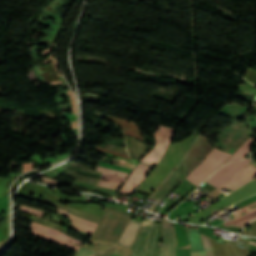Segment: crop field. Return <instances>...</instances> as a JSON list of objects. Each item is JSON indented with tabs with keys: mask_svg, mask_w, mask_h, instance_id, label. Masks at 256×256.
I'll list each match as a JSON object with an SVG mask.
<instances>
[{
	"mask_svg": "<svg viewBox=\"0 0 256 256\" xmlns=\"http://www.w3.org/2000/svg\"><path fill=\"white\" fill-rule=\"evenodd\" d=\"M58 209V208H57ZM59 212H62L66 214L67 217H69L73 228L78 229L80 231L86 232L91 234V232L94 230V228L97 226V223L90 222L87 220H84L82 218H79L75 215H72L62 209H58Z\"/></svg>",
	"mask_w": 256,
	"mask_h": 256,
	"instance_id": "3316defc",
	"label": "crop field"
},
{
	"mask_svg": "<svg viewBox=\"0 0 256 256\" xmlns=\"http://www.w3.org/2000/svg\"><path fill=\"white\" fill-rule=\"evenodd\" d=\"M242 81L246 82L247 84L239 85V89L244 92L254 93L256 94V88L251 83L243 79Z\"/></svg>",
	"mask_w": 256,
	"mask_h": 256,
	"instance_id": "92a150f3",
	"label": "crop field"
},
{
	"mask_svg": "<svg viewBox=\"0 0 256 256\" xmlns=\"http://www.w3.org/2000/svg\"><path fill=\"white\" fill-rule=\"evenodd\" d=\"M253 219H256V210L248 212L234 220L222 223V225L237 226L243 222L246 224L247 222H249ZM245 224H242L239 227H244Z\"/></svg>",
	"mask_w": 256,
	"mask_h": 256,
	"instance_id": "d9b57169",
	"label": "crop field"
},
{
	"mask_svg": "<svg viewBox=\"0 0 256 256\" xmlns=\"http://www.w3.org/2000/svg\"><path fill=\"white\" fill-rule=\"evenodd\" d=\"M30 227L34 228V229H37L39 231L48 233L50 235H53V236H56V237L68 240V241H69V238H70L69 236L65 235L64 233H62L60 231H57V230H54V229H51V228H48V227H45V226L33 223V222L31 223Z\"/></svg>",
	"mask_w": 256,
	"mask_h": 256,
	"instance_id": "4a817a6b",
	"label": "crop field"
},
{
	"mask_svg": "<svg viewBox=\"0 0 256 256\" xmlns=\"http://www.w3.org/2000/svg\"><path fill=\"white\" fill-rule=\"evenodd\" d=\"M250 242L256 244L255 242H252V241H250Z\"/></svg>",
	"mask_w": 256,
	"mask_h": 256,
	"instance_id": "120bbe31",
	"label": "crop field"
},
{
	"mask_svg": "<svg viewBox=\"0 0 256 256\" xmlns=\"http://www.w3.org/2000/svg\"><path fill=\"white\" fill-rule=\"evenodd\" d=\"M229 156L231 154L220 152L214 148L204 162L195 168L186 178L199 185L204 179L221 167Z\"/></svg>",
	"mask_w": 256,
	"mask_h": 256,
	"instance_id": "8a807250",
	"label": "crop field"
},
{
	"mask_svg": "<svg viewBox=\"0 0 256 256\" xmlns=\"http://www.w3.org/2000/svg\"><path fill=\"white\" fill-rule=\"evenodd\" d=\"M250 162L251 160L244 159L242 161L225 164L209 179H207L206 182L217 187L225 180H227L229 177H231L232 175L240 171L242 168H244Z\"/></svg>",
	"mask_w": 256,
	"mask_h": 256,
	"instance_id": "412701ff",
	"label": "crop field"
},
{
	"mask_svg": "<svg viewBox=\"0 0 256 256\" xmlns=\"http://www.w3.org/2000/svg\"><path fill=\"white\" fill-rule=\"evenodd\" d=\"M95 148L100 149V150H103V151H106V152H109V153H112V154H115V155H118V156H121V157H124V158H127V159H130V158L127 157V156L121 155V154L116 153V152H113V151H109V150H106V149H101V148H99V147H97V146H95Z\"/></svg>",
	"mask_w": 256,
	"mask_h": 256,
	"instance_id": "ae1a2a85",
	"label": "crop field"
},
{
	"mask_svg": "<svg viewBox=\"0 0 256 256\" xmlns=\"http://www.w3.org/2000/svg\"><path fill=\"white\" fill-rule=\"evenodd\" d=\"M108 117L111 120H114L116 124L121 126L124 129L126 134L136 136V137L142 139L141 132L135 123H133L131 121L129 123H127V121H129V120H125V119H121V118H117V117H113V116H109V115H108ZM125 127H128L131 130H127Z\"/></svg>",
	"mask_w": 256,
	"mask_h": 256,
	"instance_id": "d1516ede",
	"label": "crop field"
},
{
	"mask_svg": "<svg viewBox=\"0 0 256 256\" xmlns=\"http://www.w3.org/2000/svg\"><path fill=\"white\" fill-rule=\"evenodd\" d=\"M173 132L174 131H172V128H168L160 125L158 130L155 133L156 143L154 145L152 152L150 154L148 153L142 159L141 162H145L153 165L158 163L171 141Z\"/></svg>",
	"mask_w": 256,
	"mask_h": 256,
	"instance_id": "ac0d7876",
	"label": "crop field"
},
{
	"mask_svg": "<svg viewBox=\"0 0 256 256\" xmlns=\"http://www.w3.org/2000/svg\"><path fill=\"white\" fill-rule=\"evenodd\" d=\"M31 234L34 235V236L40 237L42 239H45V240H48V241H51V242L69 247V248H73V249H76V250H78L80 248V246L74 245L72 243L66 242L64 240L58 239L56 237L50 236L48 234L39 232V231L34 230V229H32Z\"/></svg>",
	"mask_w": 256,
	"mask_h": 256,
	"instance_id": "cbeb9de0",
	"label": "crop field"
},
{
	"mask_svg": "<svg viewBox=\"0 0 256 256\" xmlns=\"http://www.w3.org/2000/svg\"><path fill=\"white\" fill-rule=\"evenodd\" d=\"M205 251L192 253V256H213V251L210 247L208 238L202 235Z\"/></svg>",
	"mask_w": 256,
	"mask_h": 256,
	"instance_id": "bc2a9ffb",
	"label": "crop field"
},
{
	"mask_svg": "<svg viewBox=\"0 0 256 256\" xmlns=\"http://www.w3.org/2000/svg\"><path fill=\"white\" fill-rule=\"evenodd\" d=\"M175 238L173 235L172 224L163 221V245L161 256H174Z\"/></svg>",
	"mask_w": 256,
	"mask_h": 256,
	"instance_id": "d8731c3e",
	"label": "crop field"
},
{
	"mask_svg": "<svg viewBox=\"0 0 256 256\" xmlns=\"http://www.w3.org/2000/svg\"><path fill=\"white\" fill-rule=\"evenodd\" d=\"M101 179L116 182V183H120V184H122L123 181L125 180V178H123V177H119V176L111 175V174H106V173H104V175L102 176Z\"/></svg>",
	"mask_w": 256,
	"mask_h": 256,
	"instance_id": "214f88e0",
	"label": "crop field"
},
{
	"mask_svg": "<svg viewBox=\"0 0 256 256\" xmlns=\"http://www.w3.org/2000/svg\"><path fill=\"white\" fill-rule=\"evenodd\" d=\"M114 248H115V247H114ZM114 248H112V249H110V250H107V251H105V252H103V253H97L96 256H110Z\"/></svg>",
	"mask_w": 256,
	"mask_h": 256,
	"instance_id": "eef30255",
	"label": "crop field"
},
{
	"mask_svg": "<svg viewBox=\"0 0 256 256\" xmlns=\"http://www.w3.org/2000/svg\"><path fill=\"white\" fill-rule=\"evenodd\" d=\"M74 186H78V187H81V188H85V189H88V190H95L97 192H103L105 194H108L110 196H114L116 190L114 189H109V188H104V187H97V186H94V185H91V184H88V183H85V182H81V181H78L76 180V182L74 183Z\"/></svg>",
	"mask_w": 256,
	"mask_h": 256,
	"instance_id": "733c2abd",
	"label": "crop field"
},
{
	"mask_svg": "<svg viewBox=\"0 0 256 256\" xmlns=\"http://www.w3.org/2000/svg\"><path fill=\"white\" fill-rule=\"evenodd\" d=\"M71 242H74V243H77V244H82V241H80V240H78V239H75V238H73L72 237V239H71Z\"/></svg>",
	"mask_w": 256,
	"mask_h": 256,
	"instance_id": "1d83c4d3",
	"label": "crop field"
},
{
	"mask_svg": "<svg viewBox=\"0 0 256 256\" xmlns=\"http://www.w3.org/2000/svg\"><path fill=\"white\" fill-rule=\"evenodd\" d=\"M248 110H249V108H242L235 104H232V105L226 104L224 106V108L222 110L218 111L217 113L227 116L231 119L237 120V119L243 117L247 113Z\"/></svg>",
	"mask_w": 256,
	"mask_h": 256,
	"instance_id": "28ad6ade",
	"label": "crop field"
},
{
	"mask_svg": "<svg viewBox=\"0 0 256 256\" xmlns=\"http://www.w3.org/2000/svg\"><path fill=\"white\" fill-rule=\"evenodd\" d=\"M95 254H96V252H92L86 248L81 247L78 250L76 256H94Z\"/></svg>",
	"mask_w": 256,
	"mask_h": 256,
	"instance_id": "a9b5d70f",
	"label": "crop field"
},
{
	"mask_svg": "<svg viewBox=\"0 0 256 256\" xmlns=\"http://www.w3.org/2000/svg\"><path fill=\"white\" fill-rule=\"evenodd\" d=\"M151 220L145 219L128 256H144Z\"/></svg>",
	"mask_w": 256,
	"mask_h": 256,
	"instance_id": "f4fd0767",
	"label": "crop field"
},
{
	"mask_svg": "<svg viewBox=\"0 0 256 256\" xmlns=\"http://www.w3.org/2000/svg\"><path fill=\"white\" fill-rule=\"evenodd\" d=\"M140 225L141 222L131 220L125 234L123 235L118 245L130 246Z\"/></svg>",
	"mask_w": 256,
	"mask_h": 256,
	"instance_id": "22f410ed",
	"label": "crop field"
},
{
	"mask_svg": "<svg viewBox=\"0 0 256 256\" xmlns=\"http://www.w3.org/2000/svg\"><path fill=\"white\" fill-rule=\"evenodd\" d=\"M42 175L51 176V177H53V178L56 179L59 174H58V173L51 172V171H48V172H46V173H44V174H42Z\"/></svg>",
	"mask_w": 256,
	"mask_h": 256,
	"instance_id": "750c4746",
	"label": "crop field"
},
{
	"mask_svg": "<svg viewBox=\"0 0 256 256\" xmlns=\"http://www.w3.org/2000/svg\"><path fill=\"white\" fill-rule=\"evenodd\" d=\"M162 223H153L145 256H160Z\"/></svg>",
	"mask_w": 256,
	"mask_h": 256,
	"instance_id": "e52e79f7",
	"label": "crop field"
},
{
	"mask_svg": "<svg viewBox=\"0 0 256 256\" xmlns=\"http://www.w3.org/2000/svg\"><path fill=\"white\" fill-rule=\"evenodd\" d=\"M256 175V168L249 165L242 169L240 172H238L236 175H234L232 178H230L228 181H226L224 184H222L217 189H221L224 186L230 188V189H236L240 187L241 185L248 182L250 179L254 178Z\"/></svg>",
	"mask_w": 256,
	"mask_h": 256,
	"instance_id": "dd49c442",
	"label": "crop field"
},
{
	"mask_svg": "<svg viewBox=\"0 0 256 256\" xmlns=\"http://www.w3.org/2000/svg\"><path fill=\"white\" fill-rule=\"evenodd\" d=\"M199 138V134L196 137V139L194 140L193 144L191 145V147L194 145V143L197 141V139ZM191 147L188 149V151L191 149ZM188 151L184 154V156L182 157L181 161L183 160V158L186 156V154L188 153ZM181 161L174 167V169L169 173V175L159 184V186L176 170V168L179 166V164L181 163ZM158 186V187H159Z\"/></svg>",
	"mask_w": 256,
	"mask_h": 256,
	"instance_id": "730fd06b",
	"label": "crop field"
},
{
	"mask_svg": "<svg viewBox=\"0 0 256 256\" xmlns=\"http://www.w3.org/2000/svg\"><path fill=\"white\" fill-rule=\"evenodd\" d=\"M98 171H102V172H107V173H112V174H116V175H120V176H124L127 177V173H123V172H119V171H115V170H111V169H107V168H103V167H97Z\"/></svg>",
	"mask_w": 256,
	"mask_h": 256,
	"instance_id": "00972430",
	"label": "crop field"
},
{
	"mask_svg": "<svg viewBox=\"0 0 256 256\" xmlns=\"http://www.w3.org/2000/svg\"><path fill=\"white\" fill-rule=\"evenodd\" d=\"M182 181L180 169L173 173V175L160 187L158 188L150 197L153 199H163V197L168 194L174 187H176Z\"/></svg>",
	"mask_w": 256,
	"mask_h": 256,
	"instance_id": "5a996713",
	"label": "crop field"
},
{
	"mask_svg": "<svg viewBox=\"0 0 256 256\" xmlns=\"http://www.w3.org/2000/svg\"><path fill=\"white\" fill-rule=\"evenodd\" d=\"M48 202L51 203L52 205H54L55 207H59V208L68 210V211H70V212H72V213H74V214H76V215H78V216H80V217L87 218V219L92 220V221H95V222H97V223H99L100 220H101V218L92 216V215H90V214H88V213H85V212L79 210V209H75V208H72V207L64 206V205H62V204H59V203H57V202L50 201V200H48Z\"/></svg>",
	"mask_w": 256,
	"mask_h": 256,
	"instance_id": "5142ce71",
	"label": "crop field"
},
{
	"mask_svg": "<svg viewBox=\"0 0 256 256\" xmlns=\"http://www.w3.org/2000/svg\"><path fill=\"white\" fill-rule=\"evenodd\" d=\"M111 256H114V255H111Z\"/></svg>",
	"mask_w": 256,
	"mask_h": 256,
	"instance_id": "d32e631a",
	"label": "crop field"
},
{
	"mask_svg": "<svg viewBox=\"0 0 256 256\" xmlns=\"http://www.w3.org/2000/svg\"><path fill=\"white\" fill-rule=\"evenodd\" d=\"M212 149L209 142L205 138L200 137L189 155L182 162L184 166L183 174L187 175L194 167L200 164ZM200 159H202V161H199Z\"/></svg>",
	"mask_w": 256,
	"mask_h": 256,
	"instance_id": "34b2d1b8",
	"label": "crop field"
},
{
	"mask_svg": "<svg viewBox=\"0 0 256 256\" xmlns=\"http://www.w3.org/2000/svg\"><path fill=\"white\" fill-rule=\"evenodd\" d=\"M20 210L24 211V212H27V213H30V214H33V215L40 216V217L44 213L43 211L35 210V209L24 207V206H21Z\"/></svg>",
	"mask_w": 256,
	"mask_h": 256,
	"instance_id": "dafd665d",
	"label": "crop field"
},
{
	"mask_svg": "<svg viewBox=\"0 0 256 256\" xmlns=\"http://www.w3.org/2000/svg\"><path fill=\"white\" fill-rule=\"evenodd\" d=\"M98 186H105V187H110V188H114V189H117L120 187L119 184H115V183H111V182H107V181H103V180H100V182L98 183Z\"/></svg>",
	"mask_w": 256,
	"mask_h": 256,
	"instance_id": "4177f3b9",
	"label": "crop field"
},
{
	"mask_svg": "<svg viewBox=\"0 0 256 256\" xmlns=\"http://www.w3.org/2000/svg\"><path fill=\"white\" fill-rule=\"evenodd\" d=\"M246 208H247L249 211L256 209V202L253 203V204H251V205L246 206Z\"/></svg>",
	"mask_w": 256,
	"mask_h": 256,
	"instance_id": "bd1437ed",
	"label": "crop field"
},
{
	"mask_svg": "<svg viewBox=\"0 0 256 256\" xmlns=\"http://www.w3.org/2000/svg\"><path fill=\"white\" fill-rule=\"evenodd\" d=\"M41 177H43V176H41ZM42 181L46 182V183L53 184V185H55V183H56V181H54V180H52L50 178H47V177H43Z\"/></svg>",
	"mask_w": 256,
	"mask_h": 256,
	"instance_id": "d3111659",
	"label": "crop field"
}]
</instances>
